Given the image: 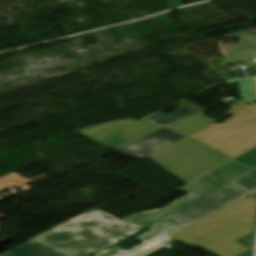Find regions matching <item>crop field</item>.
I'll use <instances>...</instances> for the list:
<instances>
[{
  "instance_id": "1",
  "label": "crop field",
  "mask_w": 256,
  "mask_h": 256,
  "mask_svg": "<svg viewBox=\"0 0 256 256\" xmlns=\"http://www.w3.org/2000/svg\"><path fill=\"white\" fill-rule=\"evenodd\" d=\"M255 220L256 197L252 196L225 207L172 238L217 256H238L249 249L235 241L254 232Z\"/></svg>"
},
{
  "instance_id": "2",
  "label": "crop field",
  "mask_w": 256,
  "mask_h": 256,
  "mask_svg": "<svg viewBox=\"0 0 256 256\" xmlns=\"http://www.w3.org/2000/svg\"><path fill=\"white\" fill-rule=\"evenodd\" d=\"M137 232L139 230L100 211L79 216L32 240L69 255L82 249L89 253L104 249Z\"/></svg>"
},
{
  "instance_id": "3",
  "label": "crop field",
  "mask_w": 256,
  "mask_h": 256,
  "mask_svg": "<svg viewBox=\"0 0 256 256\" xmlns=\"http://www.w3.org/2000/svg\"><path fill=\"white\" fill-rule=\"evenodd\" d=\"M230 107L232 110L225 114L233 118L220 125L213 123L189 137L232 158L256 146V104L248 106L241 100Z\"/></svg>"
},
{
  "instance_id": "4",
  "label": "crop field",
  "mask_w": 256,
  "mask_h": 256,
  "mask_svg": "<svg viewBox=\"0 0 256 256\" xmlns=\"http://www.w3.org/2000/svg\"><path fill=\"white\" fill-rule=\"evenodd\" d=\"M148 157L183 182L230 159L189 137Z\"/></svg>"
},
{
  "instance_id": "5",
  "label": "crop field",
  "mask_w": 256,
  "mask_h": 256,
  "mask_svg": "<svg viewBox=\"0 0 256 256\" xmlns=\"http://www.w3.org/2000/svg\"><path fill=\"white\" fill-rule=\"evenodd\" d=\"M160 127L143 120L122 119L78 130L87 139L116 150Z\"/></svg>"
},
{
  "instance_id": "6",
  "label": "crop field",
  "mask_w": 256,
  "mask_h": 256,
  "mask_svg": "<svg viewBox=\"0 0 256 256\" xmlns=\"http://www.w3.org/2000/svg\"><path fill=\"white\" fill-rule=\"evenodd\" d=\"M190 224L169 215L152 224L153 228L137 236L144 243L128 251L117 247L95 253V256H146L172 242L169 235Z\"/></svg>"
},
{
  "instance_id": "7",
  "label": "crop field",
  "mask_w": 256,
  "mask_h": 256,
  "mask_svg": "<svg viewBox=\"0 0 256 256\" xmlns=\"http://www.w3.org/2000/svg\"><path fill=\"white\" fill-rule=\"evenodd\" d=\"M245 195L247 193L227 184L172 214L192 224Z\"/></svg>"
},
{
  "instance_id": "8",
  "label": "crop field",
  "mask_w": 256,
  "mask_h": 256,
  "mask_svg": "<svg viewBox=\"0 0 256 256\" xmlns=\"http://www.w3.org/2000/svg\"><path fill=\"white\" fill-rule=\"evenodd\" d=\"M186 135L168 127L144 136L114 152L128 156H148L182 138Z\"/></svg>"
},
{
  "instance_id": "9",
  "label": "crop field",
  "mask_w": 256,
  "mask_h": 256,
  "mask_svg": "<svg viewBox=\"0 0 256 256\" xmlns=\"http://www.w3.org/2000/svg\"><path fill=\"white\" fill-rule=\"evenodd\" d=\"M195 199L196 198L194 196L189 194L163 209L138 213V214L130 216L122 221L141 230L143 228L148 227L149 224L154 222L156 219L174 211L175 209H177Z\"/></svg>"
},
{
  "instance_id": "10",
  "label": "crop field",
  "mask_w": 256,
  "mask_h": 256,
  "mask_svg": "<svg viewBox=\"0 0 256 256\" xmlns=\"http://www.w3.org/2000/svg\"><path fill=\"white\" fill-rule=\"evenodd\" d=\"M88 254L82 250L69 256H81ZM1 256H67L39 241H29Z\"/></svg>"
},
{
  "instance_id": "11",
  "label": "crop field",
  "mask_w": 256,
  "mask_h": 256,
  "mask_svg": "<svg viewBox=\"0 0 256 256\" xmlns=\"http://www.w3.org/2000/svg\"><path fill=\"white\" fill-rule=\"evenodd\" d=\"M253 169L255 168L232 160L205 175L221 186Z\"/></svg>"
},
{
  "instance_id": "12",
  "label": "crop field",
  "mask_w": 256,
  "mask_h": 256,
  "mask_svg": "<svg viewBox=\"0 0 256 256\" xmlns=\"http://www.w3.org/2000/svg\"><path fill=\"white\" fill-rule=\"evenodd\" d=\"M223 38L239 37L241 39L240 44L222 46L219 42V46L223 53V56L250 50L256 58V32L250 30H244L241 32L222 36Z\"/></svg>"
},
{
  "instance_id": "13",
  "label": "crop field",
  "mask_w": 256,
  "mask_h": 256,
  "mask_svg": "<svg viewBox=\"0 0 256 256\" xmlns=\"http://www.w3.org/2000/svg\"><path fill=\"white\" fill-rule=\"evenodd\" d=\"M203 114L204 112L201 111L168 127L180 131L188 136L215 121L213 119L202 116Z\"/></svg>"
},
{
  "instance_id": "14",
  "label": "crop field",
  "mask_w": 256,
  "mask_h": 256,
  "mask_svg": "<svg viewBox=\"0 0 256 256\" xmlns=\"http://www.w3.org/2000/svg\"><path fill=\"white\" fill-rule=\"evenodd\" d=\"M179 110L174 112V113H171V114H164V113H158V114H154L146 119H143V120H146L150 123H153L155 125H158L162 128L166 127L167 125L175 122V121H178L182 118H185L187 116H190L194 113L178 106Z\"/></svg>"
},
{
  "instance_id": "15",
  "label": "crop field",
  "mask_w": 256,
  "mask_h": 256,
  "mask_svg": "<svg viewBox=\"0 0 256 256\" xmlns=\"http://www.w3.org/2000/svg\"><path fill=\"white\" fill-rule=\"evenodd\" d=\"M183 188L198 198V197L218 188V186H216L214 183H212L206 177L202 176V177L196 179L195 181L189 183L188 185H186Z\"/></svg>"
},
{
  "instance_id": "16",
  "label": "crop field",
  "mask_w": 256,
  "mask_h": 256,
  "mask_svg": "<svg viewBox=\"0 0 256 256\" xmlns=\"http://www.w3.org/2000/svg\"><path fill=\"white\" fill-rule=\"evenodd\" d=\"M46 175H42L40 177H37L35 179L32 180H26L24 178H22L20 175L12 173L8 176L2 177L0 178V192L2 189L4 188H10L12 186L19 188L21 186H24L26 184H29L31 182H34L38 179H41L43 177H45Z\"/></svg>"
},
{
  "instance_id": "17",
  "label": "crop field",
  "mask_w": 256,
  "mask_h": 256,
  "mask_svg": "<svg viewBox=\"0 0 256 256\" xmlns=\"http://www.w3.org/2000/svg\"><path fill=\"white\" fill-rule=\"evenodd\" d=\"M243 191L249 193L256 189V169L229 182Z\"/></svg>"
},
{
  "instance_id": "18",
  "label": "crop field",
  "mask_w": 256,
  "mask_h": 256,
  "mask_svg": "<svg viewBox=\"0 0 256 256\" xmlns=\"http://www.w3.org/2000/svg\"><path fill=\"white\" fill-rule=\"evenodd\" d=\"M229 84H238L240 88V96L247 103L254 102L253 87L251 79L233 80L227 82Z\"/></svg>"
},
{
  "instance_id": "19",
  "label": "crop field",
  "mask_w": 256,
  "mask_h": 256,
  "mask_svg": "<svg viewBox=\"0 0 256 256\" xmlns=\"http://www.w3.org/2000/svg\"><path fill=\"white\" fill-rule=\"evenodd\" d=\"M224 58H225V60L220 63V68L223 66L232 64L234 62H237L239 60H242V62L246 65L255 64V62H256V59L253 57V55L250 53V51L226 56Z\"/></svg>"
},
{
  "instance_id": "20",
  "label": "crop field",
  "mask_w": 256,
  "mask_h": 256,
  "mask_svg": "<svg viewBox=\"0 0 256 256\" xmlns=\"http://www.w3.org/2000/svg\"><path fill=\"white\" fill-rule=\"evenodd\" d=\"M234 160H237L239 162L245 163L256 168V148L235 158Z\"/></svg>"
},
{
  "instance_id": "21",
  "label": "crop field",
  "mask_w": 256,
  "mask_h": 256,
  "mask_svg": "<svg viewBox=\"0 0 256 256\" xmlns=\"http://www.w3.org/2000/svg\"><path fill=\"white\" fill-rule=\"evenodd\" d=\"M252 241H253V234H250V235H248V236H246V237L237 241V242H239V243H241V244H243V245H245V246H247L251 249L250 251L245 252V253L241 254L240 256H247V255L251 254V252H252V247H251L252 246Z\"/></svg>"
},
{
  "instance_id": "22",
  "label": "crop field",
  "mask_w": 256,
  "mask_h": 256,
  "mask_svg": "<svg viewBox=\"0 0 256 256\" xmlns=\"http://www.w3.org/2000/svg\"><path fill=\"white\" fill-rule=\"evenodd\" d=\"M254 82H255V90H256V78L254 79Z\"/></svg>"
},
{
  "instance_id": "23",
  "label": "crop field",
  "mask_w": 256,
  "mask_h": 256,
  "mask_svg": "<svg viewBox=\"0 0 256 256\" xmlns=\"http://www.w3.org/2000/svg\"><path fill=\"white\" fill-rule=\"evenodd\" d=\"M3 200L1 197H0V201Z\"/></svg>"
}]
</instances>
